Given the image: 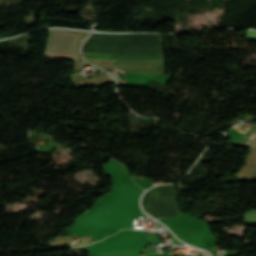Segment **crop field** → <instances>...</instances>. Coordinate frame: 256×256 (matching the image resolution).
<instances>
[{"mask_svg":"<svg viewBox=\"0 0 256 256\" xmlns=\"http://www.w3.org/2000/svg\"><path fill=\"white\" fill-rule=\"evenodd\" d=\"M85 32L50 30L45 56L74 60Z\"/></svg>","mask_w":256,"mask_h":256,"instance_id":"1","label":"crop field"}]
</instances>
